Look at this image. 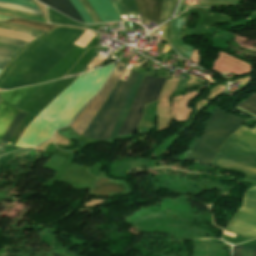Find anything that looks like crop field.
Wrapping results in <instances>:
<instances>
[{
  "instance_id": "obj_5",
  "label": "crop field",
  "mask_w": 256,
  "mask_h": 256,
  "mask_svg": "<svg viewBox=\"0 0 256 256\" xmlns=\"http://www.w3.org/2000/svg\"><path fill=\"white\" fill-rule=\"evenodd\" d=\"M76 77L67 78L63 80H56L46 84L34 86L27 92L14 107L27 113L26 117L17 127L12 135L9 143L15 145L21 133L31 120L52 100H54L63 90H65ZM7 146H12L7 144Z\"/></svg>"
},
{
  "instance_id": "obj_34",
  "label": "crop field",
  "mask_w": 256,
  "mask_h": 256,
  "mask_svg": "<svg viewBox=\"0 0 256 256\" xmlns=\"http://www.w3.org/2000/svg\"><path fill=\"white\" fill-rule=\"evenodd\" d=\"M55 145H51L49 144L46 149L44 150L45 153H49V154H52L53 150L55 149Z\"/></svg>"
},
{
  "instance_id": "obj_3",
  "label": "crop field",
  "mask_w": 256,
  "mask_h": 256,
  "mask_svg": "<svg viewBox=\"0 0 256 256\" xmlns=\"http://www.w3.org/2000/svg\"><path fill=\"white\" fill-rule=\"evenodd\" d=\"M244 121L245 119L227 114L216 108L205 128L204 134L192 148L189 156L211 162L222 142L233 131L239 129Z\"/></svg>"
},
{
  "instance_id": "obj_1",
  "label": "crop field",
  "mask_w": 256,
  "mask_h": 256,
  "mask_svg": "<svg viewBox=\"0 0 256 256\" xmlns=\"http://www.w3.org/2000/svg\"><path fill=\"white\" fill-rule=\"evenodd\" d=\"M81 30L56 28L27 46L0 75V88L11 89L35 84L63 56L75 47L72 43Z\"/></svg>"
},
{
  "instance_id": "obj_11",
  "label": "crop field",
  "mask_w": 256,
  "mask_h": 256,
  "mask_svg": "<svg viewBox=\"0 0 256 256\" xmlns=\"http://www.w3.org/2000/svg\"><path fill=\"white\" fill-rule=\"evenodd\" d=\"M183 19H184V17L177 18L171 22L172 42H173V46L176 49V51L182 57L190 60L194 47L182 42Z\"/></svg>"
},
{
  "instance_id": "obj_32",
  "label": "crop field",
  "mask_w": 256,
  "mask_h": 256,
  "mask_svg": "<svg viewBox=\"0 0 256 256\" xmlns=\"http://www.w3.org/2000/svg\"><path fill=\"white\" fill-rule=\"evenodd\" d=\"M0 1L17 3V4H21L24 6H29V7L38 9V7L34 3H32L31 1H28V0H0Z\"/></svg>"
},
{
  "instance_id": "obj_36",
  "label": "crop field",
  "mask_w": 256,
  "mask_h": 256,
  "mask_svg": "<svg viewBox=\"0 0 256 256\" xmlns=\"http://www.w3.org/2000/svg\"><path fill=\"white\" fill-rule=\"evenodd\" d=\"M224 235H227V236H230V237H235V234H232V233H229V232H226V231H224V233H223Z\"/></svg>"
},
{
  "instance_id": "obj_30",
  "label": "crop field",
  "mask_w": 256,
  "mask_h": 256,
  "mask_svg": "<svg viewBox=\"0 0 256 256\" xmlns=\"http://www.w3.org/2000/svg\"><path fill=\"white\" fill-rule=\"evenodd\" d=\"M169 27H170V21H168L166 24L160 27V31H161L162 39L171 44L170 36H169Z\"/></svg>"
},
{
  "instance_id": "obj_18",
  "label": "crop field",
  "mask_w": 256,
  "mask_h": 256,
  "mask_svg": "<svg viewBox=\"0 0 256 256\" xmlns=\"http://www.w3.org/2000/svg\"><path fill=\"white\" fill-rule=\"evenodd\" d=\"M48 16L51 23H57V24H67V25H76V26H83L77 22H74L56 12L48 8Z\"/></svg>"
},
{
  "instance_id": "obj_22",
  "label": "crop field",
  "mask_w": 256,
  "mask_h": 256,
  "mask_svg": "<svg viewBox=\"0 0 256 256\" xmlns=\"http://www.w3.org/2000/svg\"><path fill=\"white\" fill-rule=\"evenodd\" d=\"M0 8L17 10V11H21V12H25V13H29V14H33V15H37V16H42L43 17V15L41 14L40 10H36V9L24 7V6H18V5H14V4H8V3H1L0 2Z\"/></svg>"
},
{
  "instance_id": "obj_13",
  "label": "crop field",
  "mask_w": 256,
  "mask_h": 256,
  "mask_svg": "<svg viewBox=\"0 0 256 256\" xmlns=\"http://www.w3.org/2000/svg\"><path fill=\"white\" fill-rule=\"evenodd\" d=\"M102 22L120 20L109 0H88Z\"/></svg>"
},
{
  "instance_id": "obj_38",
  "label": "crop field",
  "mask_w": 256,
  "mask_h": 256,
  "mask_svg": "<svg viewBox=\"0 0 256 256\" xmlns=\"http://www.w3.org/2000/svg\"><path fill=\"white\" fill-rule=\"evenodd\" d=\"M0 144H3V143H0ZM3 145H6V144H3Z\"/></svg>"
},
{
  "instance_id": "obj_9",
  "label": "crop field",
  "mask_w": 256,
  "mask_h": 256,
  "mask_svg": "<svg viewBox=\"0 0 256 256\" xmlns=\"http://www.w3.org/2000/svg\"><path fill=\"white\" fill-rule=\"evenodd\" d=\"M32 87L0 92V140L12 119L19 112L12 106Z\"/></svg>"
},
{
  "instance_id": "obj_29",
  "label": "crop field",
  "mask_w": 256,
  "mask_h": 256,
  "mask_svg": "<svg viewBox=\"0 0 256 256\" xmlns=\"http://www.w3.org/2000/svg\"><path fill=\"white\" fill-rule=\"evenodd\" d=\"M80 3L83 5V7L86 9V11L88 12V14L91 16L93 23H100L101 20L99 19V17L97 16V14L94 12V10L91 8V6L88 4V2L86 0H79Z\"/></svg>"
},
{
  "instance_id": "obj_15",
  "label": "crop field",
  "mask_w": 256,
  "mask_h": 256,
  "mask_svg": "<svg viewBox=\"0 0 256 256\" xmlns=\"http://www.w3.org/2000/svg\"><path fill=\"white\" fill-rule=\"evenodd\" d=\"M96 48L89 49L80 59L79 61L74 65V67L69 71L67 75L75 74L79 71V69L85 64V62L89 59V57L92 55V53L95 51ZM98 49L93 53V55L90 57V59L86 62V64L80 69L79 72L83 71L84 68L87 66V64L91 61V59L94 57V55L97 53ZM66 75V76H67Z\"/></svg>"
},
{
  "instance_id": "obj_8",
  "label": "crop field",
  "mask_w": 256,
  "mask_h": 256,
  "mask_svg": "<svg viewBox=\"0 0 256 256\" xmlns=\"http://www.w3.org/2000/svg\"><path fill=\"white\" fill-rule=\"evenodd\" d=\"M125 64L119 62L117 67L114 69L108 81L105 83L100 92L95 96V98L88 104V106L81 112V114L69 125L73 130H75L80 136L86 130L91 120L100 109L105 99L109 95L110 91L117 83Z\"/></svg>"
},
{
  "instance_id": "obj_10",
  "label": "crop field",
  "mask_w": 256,
  "mask_h": 256,
  "mask_svg": "<svg viewBox=\"0 0 256 256\" xmlns=\"http://www.w3.org/2000/svg\"><path fill=\"white\" fill-rule=\"evenodd\" d=\"M99 42L100 39L95 37L84 49L76 46L71 52L62 58L37 84L62 78L69 70V68L75 64L77 59L81 57L87 48L91 46H97Z\"/></svg>"
},
{
  "instance_id": "obj_2",
  "label": "crop field",
  "mask_w": 256,
  "mask_h": 256,
  "mask_svg": "<svg viewBox=\"0 0 256 256\" xmlns=\"http://www.w3.org/2000/svg\"><path fill=\"white\" fill-rule=\"evenodd\" d=\"M211 166L248 174L256 180V125H244L223 144Z\"/></svg>"
},
{
  "instance_id": "obj_35",
  "label": "crop field",
  "mask_w": 256,
  "mask_h": 256,
  "mask_svg": "<svg viewBox=\"0 0 256 256\" xmlns=\"http://www.w3.org/2000/svg\"><path fill=\"white\" fill-rule=\"evenodd\" d=\"M198 139H199V138H196V139L188 146V148H189V149L192 148V147L195 145V143L198 141Z\"/></svg>"
},
{
  "instance_id": "obj_31",
  "label": "crop field",
  "mask_w": 256,
  "mask_h": 256,
  "mask_svg": "<svg viewBox=\"0 0 256 256\" xmlns=\"http://www.w3.org/2000/svg\"><path fill=\"white\" fill-rule=\"evenodd\" d=\"M0 41L15 44V45H18V46H21V47H23L27 44L26 42H24L22 40L13 39V38L5 37V36H0Z\"/></svg>"
},
{
  "instance_id": "obj_20",
  "label": "crop field",
  "mask_w": 256,
  "mask_h": 256,
  "mask_svg": "<svg viewBox=\"0 0 256 256\" xmlns=\"http://www.w3.org/2000/svg\"><path fill=\"white\" fill-rule=\"evenodd\" d=\"M0 28L14 30V31L34 35V36H37V37L44 33V32H40V31H37V30H33V29H29V28H25V27L13 25V24H8V23H4V22H0Z\"/></svg>"
},
{
  "instance_id": "obj_37",
  "label": "crop field",
  "mask_w": 256,
  "mask_h": 256,
  "mask_svg": "<svg viewBox=\"0 0 256 256\" xmlns=\"http://www.w3.org/2000/svg\"><path fill=\"white\" fill-rule=\"evenodd\" d=\"M8 18H10V17H6V16H1L0 15V20H4V19H8Z\"/></svg>"
},
{
  "instance_id": "obj_4",
  "label": "crop field",
  "mask_w": 256,
  "mask_h": 256,
  "mask_svg": "<svg viewBox=\"0 0 256 256\" xmlns=\"http://www.w3.org/2000/svg\"><path fill=\"white\" fill-rule=\"evenodd\" d=\"M139 73L132 72L127 83L119 82L82 138L86 145L105 141Z\"/></svg>"
},
{
  "instance_id": "obj_26",
  "label": "crop field",
  "mask_w": 256,
  "mask_h": 256,
  "mask_svg": "<svg viewBox=\"0 0 256 256\" xmlns=\"http://www.w3.org/2000/svg\"><path fill=\"white\" fill-rule=\"evenodd\" d=\"M241 248H242L241 245H236V246H234L232 256H240V254H241ZM254 249H255V247H252V246H244V245H243L241 256H253V255H254ZM254 256H256V249H255V255H254Z\"/></svg>"
},
{
  "instance_id": "obj_28",
  "label": "crop field",
  "mask_w": 256,
  "mask_h": 256,
  "mask_svg": "<svg viewBox=\"0 0 256 256\" xmlns=\"http://www.w3.org/2000/svg\"><path fill=\"white\" fill-rule=\"evenodd\" d=\"M74 7L77 9V11L80 13L82 16L83 20L85 23L93 24L90 16L87 14V12L84 10L82 5L79 3L78 0H70Z\"/></svg>"
},
{
  "instance_id": "obj_17",
  "label": "crop field",
  "mask_w": 256,
  "mask_h": 256,
  "mask_svg": "<svg viewBox=\"0 0 256 256\" xmlns=\"http://www.w3.org/2000/svg\"><path fill=\"white\" fill-rule=\"evenodd\" d=\"M5 22L35 28V29H38V30H41V31H44V32L54 28V26L44 25V24H40V23H36V22H31V21L19 19V18H13V19H10V20H5Z\"/></svg>"
},
{
  "instance_id": "obj_19",
  "label": "crop field",
  "mask_w": 256,
  "mask_h": 256,
  "mask_svg": "<svg viewBox=\"0 0 256 256\" xmlns=\"http://www.w3.org/2000/svg\"><path fill=\"white\" fill-rule=\"evenodd\" d=\"M178 0H163L160 23L174 12Z\"/></svg>"
},
{
  "instance_id": "obj_33",
  "label": "crop field",
  "mask_w": 256,
  "mask_h": 256,
  "mask_svg": "<svg viewBox=\"0 0 256 256\" xmlns=\"http://www.w3.org/2000/svg\"><path fill=\"white\" fill-rule=\"evenodd\" d=\"M9 58L1 57L0 56V68L3 69L4 66L9 62Z\"/></svg>"
},
{
  "instance_id": "obj_14",
  "label": "crop field",
  "mask_w": 256,
  "mask_h": 256,
  "mask_svg": "<svg viewBox=\"0 0 256 256\" xmlns=\"http://www.w3.org/2000/svg\"><path fill=\"white\" fill-rule=\"evenodd\" d=\"M39 1L79 22H83L80 15L74 9L73 5L69 0H39Z\"/></svg>"
},
{
  "instance_id": "obj_27",
  "label": "crop field",
  "mask_w": 256,
  "mask_h": 256,
  "mask_svg": "<svg viewBox=\"0 0 256 256\" xmlns=\"http://www.w3.org/2000/svg\"><path fill=\"white\" fill-rule=\"evenodd\" d=\"M0 35H5V36L13 37V38H18V39H22V40H25V41H28V42H32L33 40L36 39V37H33V36L13 32V31L5 30V29H0Z\"/></svg>"
},
{
  "instance_id": "obj_23",
  "label": "crop field",
  "mask_w": 256,
  "mask_h": 256,
  "mask_svg": "<svg viewBox=\"0 0 256 256\" xmlns=\"http://www.w3.org/2000/svg\"><path fill=\"white\" fill-rule=\"evenodd\" d=\"M118 2L126 17H128L129 13L138 14L134 0H118Z\"/></svg>"
},
{
  "instance_id": "obj_6",
  "label": "crop field",
  "mask_w": 256,
  "mask_h": 256,
  "mask_svg": "<svg viewBox=\"0 0 256 256\" xmlns=\"http://www.w3.org/2000/svg\"><path fill=\"white\" fill-rule=\"evenodd\" d=\"M165 80L160 77H145L142 85L140 84L141 86L136 94L132 108L117 136L134 132L142 115V107L158 99L159 92Z\"/></svg>"
},
{
  "instance_id": "obj_12",
  "label": "crop field",
  "mask_w": 256,
  "mask_h": 256,
  "mask_svg": "<svg viewBox=\"0 0 256 256\" xmlns=\"http://www.w3.org/2000/svg\"><path fill=\"white\" fill-rule=\"evenodd\" d=\"M142 23L155 21L159 24L161 0H135Z\"/></svg>"
},
{
  "instance_id": "obj_16",
  "label": "crop field",
  "mask_w": 256,
  "mask_h": 256,
  "mask_svg": "<svg viewBox=\"0 0 256 256\" xmlns=\"http://www.w3.org/2000/svg\"><path fill=\"white\" fill-rule=\"evenodd\" d=\"M246 100L256 103V93L246 98ZM246 100L233 107L256 117V105Z\"/></svg>"
},
{
  "instance_id": "obj_24",
  "label": "crop field",
  "mask_w": 256,
  "mask_h": 256,
  "mask_svg": "<svg viewBox=\"0 0 256 256\" xmlns=\"http://www.w3.org/2000/svg\"><path fill=\"white\" fill-rule=\"evenodd\" d=\"M20 49H21V47L0 42V55L1 56H6V57L12 58Z\"/></svg>"
},
{
  "instance_id": "obj_7",
  "label": "crop field",
  "mask_w": 256,
  "mask_h": 256,
  "mask_svg": "<svg viewBox=\"0 0 256 256\" xmlns=\"http://www.w3.org/2000/svg\"><path fill=\"white\" fill-rule=\"evenodd\" d=\"M227 231L247 237H256V185L248 187L244 202L229 221Z\"/></svg>"
},
{
  "instance_id": "obj_25",
  "label": "crop field",
  "mask_w": 256,
  "mask_h": 256,
  "mask_svg": "<svg viewBox=\"0 0 256 256\" xmlns=\"http://www.w3.org/2000/svg\"><path fill=\"white\" fill-rule=\"evenodd\" d=\"M0 14H5V15H10V16H15V17H20V18H25V19H29V20H34V21L46 23L44 18L29 15V14L9 11V10H5V9H0Z\"/></svg>"
},
{
  "instance_id": "obj_21",
  "label": "crop field",
  "mask_w": 256,
  "mask_h": 256,
  "mask_svg": "<svg viewBox=\"0 0 256 256\" xmlns=\"http://www.w3.org/2000/svg\"><path fill=\"white\" fill-rule=\"evenodd\" d=\"M25 113L23 112H19L17 114V116L14 118V120L12 121L10 127L8 128V130L6 131L5 135L3 136L1 142L7 143L9 138L11 137V135L13 134V132L15 131L17 125L21 122V120L25 117Z\"/></svg>"
}]
</instances>
